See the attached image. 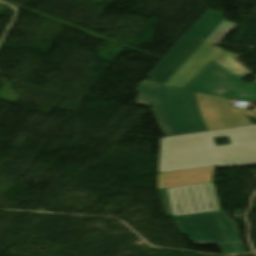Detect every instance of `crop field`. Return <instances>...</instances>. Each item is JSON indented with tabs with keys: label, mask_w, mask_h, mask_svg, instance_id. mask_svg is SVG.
I'll return each mask as SVG.
<instances>
[{
	"label": "crop field",
	"mask_w": 256,
	"mask_h": 256,
	"mask_svg": "<svg viewBox=\"0 0 256 256\" xmlns=\"http://www.w3.org/2000/svg\"><path fill=\"white\" fill-rule=\"evenodd\" d=\"M223 136L231 145L216 147L214 138ZM252 164H256V125L162 138L160 173Z\"/></svg>",
	"instance_id": "1"
},
{
	"label": "crop field",
	"mask_w": 256,
	"mask_h": 256,
	"mask_svg": "<svg viewBox=\"0 0 256 256\" xmlns=\"http://www.w3.org/2000/svg\"><path fill=\"white\" fill-rule=\"evenodd\" d=\"M152 110L167 136L237 126L226 99L175 88Z\"/></svg>",
	"instance_id": "2"
},
{
	"label": "crop field",
	"mask_w": 256,
	"mask_h": 256,
	"mask_svg": "<svg viewBox=\"0 0 256 256\" xmlns=\"http://www.w3.org/2000/svg\"><path fill=\"white\" fill-rule=\"evenodd\" d=\"M236 25L209 10L149 75L152 82L175 87Z\"/></svg>",
	"instance_id": "3"
},
{
	"label": "crop field",
	"mask_w": 256,
	"mask_h": 256,
	"mask_svg": "<svg viewBox=\"0 0 256 256\" xmlns=\"http://www.w3.org/2000/svg\"><path fill=\"white\" fill-rule=\"evenodd\" d=\"M173 218L196 244H219L224 254L245 252L234 221L224 211Z\"/></svg>",
	"instance_id": "4"
},
{
	"label": "crop field",
	"mask_w": 256,
	"mask_h": 256,
	"mask_svg": "<svg viewBox=\"0 0 256 256\" xmlns=\"http://www.w3.org/2000/svg\"><path fill=\"white\" fill-rule=\"evenodd\" d=\"M183 88L256 102V86L244 84L214 61H211Z\"/></svg>",
	"instance_id": "5"
},
{
	"label": "crop field",
	"mask_w": 256,
	"mask_h": 256,
	"mask_svg": "<svg viewBox=\"0 0 256 256\" xmlns=\"http://www.w3.org/2000/svg\"><path fill=\"white\" fill-rule=\"evenodd\" d=\"M159 191L169 217L221 210L212 183Z\"/></svg>",
	"instance_id": "6"
},
{
	"label": "crop field",
	"mask_w": 256,
	"mask_h": 256,
	"mask_svg": "<svg viewBox=\"0 0 256 256\" xmlns=\"http://www.w3.org/2000/svg\"><path fill=\"white\" fill-rule=\"evenodd\" d=\"M214 167L159 174L158 189L212 182Z\"/></svg>",
	"instance_id": "7"
},
{
	"label": "crop field",
	"mask_w": 256,
	"mask_h": 256,
	"mask_svg": "<svg viewBox=\"0 0 256 256\" xmlns=\"http://www.w3.org/2000/svg\"><path fill=\"white\" fill-rule=\"evenodd\" d=\"M172 88L143 81L137 89L140 93L137 104L155 107Z\"/></svg>",
	"instance_id": "8"
},
{
	"label": "crop field",
	"mask_w": 256,
	"mask_h": 256,
	"mask_svg": "<svg viewBox=\"0 0 256 256\" xmlns=\"http://www.w3.org/2000/svg\"><path fill=\"white\" fill-rule=\"evenodd\" d=\"M221 48L215 47L194 69H192L185 78L176 86L182 88L187 82H189L199 71H201L211 60L216 61L222 54Z\"/></svg>",
	"instance_id": "9"
},
{
	"label": "crop field",
	"mask_w": 256,
	"mask_h": 256,
	"mask_svg": "<svg viewBox=\"0 0 256 256\" xmlns=\"http://www.w3.org/2000/svg\"><path fill=\"white\" fill-rule=\"evenodd\" d=\"M240 55L224 53L217 62L226 68L233 75L247 70V68L237 59Z\"/></svg>",
	"instance_id": "10"
},
{
	"label": "crop field",
	"mask_w": 256,
	"mask_h": 256,
	"mask_svg": "<svg viewBox=\"0 0 256 256\" xmlns=\"http://www.w3.org/2000/svg\"><path fill=\"white\" fill-rule=\"evenodd\" d=\"M231 109H232V112H233V115L235 117L237 125L238 126L246 125L245 122H244V119H243V117L241 115L240 110L238 108L235 109V107H231Z\"/></svg>",
	"instance_id": "11"
},
{
	"label": "crop field",
	"mask_w": 256,
	"mask_h": 256,
	"mask_svg": "<svg viewBox=\"0 0 256 256\" xmlns=\"http://www.w3.org/2000/svg\"><path fill=\"white\" fill-rule=\"evenodd\" d=\"M253 73H255V72L247 70V71L241 72L239 74H236L235 76L238 77L239 79H241V78H245Z\"/></svg>",
	"instance_id": "12"
}]
</instances>
